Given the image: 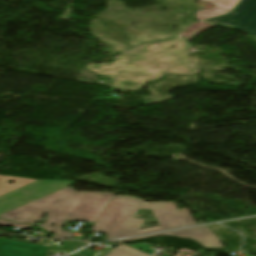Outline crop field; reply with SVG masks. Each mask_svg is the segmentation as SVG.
Segmentation results:
<instances>
[{
  "mask_svg": "<svg viewBox=\"0 0 256 256\" xmlns=\"http://www.w3.org/2000/svg\"><path fill=\"white\" fill-rule=\"evenodd\" d=\"M193 48L182 36L155 44H144L133 51V60L160 63L167 74L192 75L200 72L189 66L187 51Z\"/></svg>",
  "mask_w": 256,
  "mask_h": 256,
  "instance_id": "4",
  "label": "crop field"
},
{
  "mask_svg": "<svg viewBox=\"0 0 256 256\" xmlns=\"http://www.w3.org/2000/svg\"><path fill=\"white\" fill-rule=\"evenodd\" d=\"M141 209H149V207L147 206V204H146V203H143V205H142Z\"/></svg>",
  "mask_w": 256,
  "mask_h": 256,
  "instance_id": "13",
  "label": "crop field"
},
{
  "mask_svg": "<svg viewBox=\"0 0 256 256\" xmlns=\"http://www.w3.org/2000/svg\"><path fill=\"white\" fill-rule=\"evenodd\" d=\"M133 56L123 53L111 63L105 65L91 63L85 68L100 75L112 77V81L104 84L125 91L138 90L145 82L159 79L166 74L167 70L162 65L132 61Z\"/></svg>",
  "mask_w": 256,
  "mask_h": 256,
  "instance_id": "3",
  "label": "crop field"
},
{
  "mask_svg": "<svg viewBox=\"0 0 256 256\" xmlns=\"http://www.w3.org/2000/svg\"><path fill=\"white\" fill-rule=\"evenodd\" d=\"M202 1H209L215 4L214 9L203 10L196 12L195 21H199L204 18L223 15L229 12L233 7L237 5L240 0H202Z\"/></svg>",
  "mask_w": 256,
  "mask_h": 256,
  "instance_id": "9",
  "label": "crop field"
},
{
  "mask_svg": "<svg viewBox=\"0 0 256 256\" xmlns=\"http://www.w3.org/2000/svg\"><path fill=\"white\" fill-rule=\"evenodd\" d=\"M113 195L114 193L76 192L66 187L2 214L0 218L33 225L36 219L47 213L48 221L40 227L54 234L61 230L60 227L66 220L96 222ZM69 214L72 216L68 217ZM52 224L57 227L50 226Z\"/></svg>",
  "mask_w": 256,
  "mask_h": 256,
  "instance_id": "1",
  "label": "crop field"
},
{
  "mask_svg": "<svg viewBox=\"0 0 256 256\" xmlns=\"http://www.w3.org/2000/svg\"><path fill=\"white\" fill-rule=\"evenodd\" d=\"M143 202L134 197L113 196L91 231L106 233L109 240L196 224L188 209H178L174 202L148 203L161 227L139 231L144 220L134 216Z\"/></svg>",
  "mask_w": 256,
  "mask_h": 256,
  "instance_id": "2",
  "label": "crop field"
},
{
  "mask_svg": "<svg viewBox=\"0 0 256 256\" xmlns=\"http://www.w3.org/2000/svg\"><path fill=\"white\" fill-rule=\"evenodd\" d=\"M8 180L16 181L17 185L9 186L6 182ZM73 183L74 182L32 180L0 175V214Z\"/></svg>",
  "mask_w": 256,
  "mask_h": 256,
  "instance_id": "5",
  "label": "crop field"
},
{
  "mask_svg": "<svg viewBox=\"0 0 256 256\" xmlns=\"http://www.w3.org/2000/svg\"><path fill=\"white\" fill-rule=\"evenodd\" d=\"M0 226H5V227L12 226V227L20 228V229H27L28 227H30L29 225L15 224V223L3 221V220H0Z\"/></svg>",
  "mask_w": 256,
  "mask_h": 256,
  "instance_id": "11",
  "label": "crop field"
},
{
  "mask_svg": "<svg viewBox=\"0 0 256 256\" xmlns=\"http://www.w3.org/2000/svg\"><path fill=\"white\" fill-rule=\"evenodd\" d=\"M160 235L177 236L179 238H190L199 242L201 245H203L206 248H222V245L219 239L217 238V236L207 226L195 227L190 229H184L179 231H173V232L133 238V239L119 240L118 242L148 238V237H154V236H160Z\"/></svg>",
  "mask_w": 256,
  "mask_h": 256,
  "instance_id": "7",
  "label": "crop field"
},
{
  "mask_svg": "<svg viewBox=\"0 0 256 256\" xmlns=\"http://www.w3.org/2000/svg\"><path fill=\"white\" fill-rule=\"evenodd\" d=\"M203 22L240 30L256 38V0H242L230 14Z\"/></svg>",
  "mask_w": 256,
  "mask_h": 256,
  "instance_id": "6",
  "label": "crop field"
},
{
  "mask_svg": "<svg viewBox=\"0 0 256 256\" xmlns=\"http://www.w3.org/2000/svg\"><path fill=\"white\" fill-rule=\"evenodd\" d=\"M70 237V232H66V231H59L57 232L52 238H58V239H69Z\"/></svg>",
  "mask_w": 256,
  "mask_h": 256,
  "instance_id": "12",
  "label": "crop field"
},
{
  "mask_svg": "<svg viewBox=\"0 0 256 256\" xmlns=\"http://www.w3.org/2000/svg\"><path fill=\"white\" fill-rule=\"evenodd\" d=\"M50 246L0 238V256H47Z\"/></svg>",
  "mask_w": 256,
  "mask_h": 256,
  "instance_id": "8",
  "label": "crop field"
},
{
  "mask_svg": "<svg viewBox=\"0 0 256 256\" xmlns=\"http://www.w3.org/2000/svg\"><path fill=\"white\" fill-rule=\"evenodd\" d=\"M106 256H146V255L120 245L115 251L107 254Z\"/></svg>",
  "mask_w": 256,
  "mask_h": 256,
  "instance_id": "10",
  "label": "crop field"
}]
</instances>
